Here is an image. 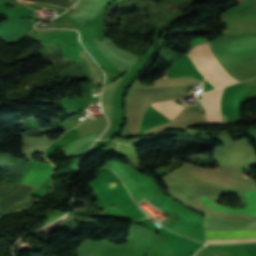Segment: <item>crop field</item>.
Returning <instances> with one entry per match:
<instances>
[{
	"label": "crop field",
	"instance_id": "obj_4",
	"mask_svg": "<svg viewBox=\"0 0 256 256\" xmlns=\"http://www.w3.org/2000/svg\"><path fill=\"white\" fill-rule=\"evenodd\" d=\"M241 230H256V222H251ZM205 240L244 239L256 237V231H204Z\"/></svg>",
	"mask_w": 256,
	"mask_h": 256
},
{
	"label": "crop field",
	"instance_id": "obj_5",
	"mask_svg": "<svg viewBox=\"0 0 256 256\" xmlns=\"http://www.w3.org/2000/svg\"><path fill=\"white\" fill-rule=\"evenodd\" d=\"M53 167V165L35 161L24 178L21 180V183L31 184L38 187L42 180L50 175Z\"/></svg>",
	"mask_w": 256,
	"mask_h": 256
},
{
	"label": "crop field",
	"instance_id": "obj_3",
	"mask_svg": "<svg viewBox=\"0 0 256 256\" xmlns=\"http://www.w3.org/2000/svg\"><path fill=\"white\" fill-rule=\"evenodd\" d=\"M35 20L21 21L10 19L6 27L1 31L0 38L4 40H20L24 37Z\"/></svg>",
	"mask_w": 256,
	"mask_h": 256
},
{
	"label": "crop field",
	"instance_id": "obj_8",
	"mask_svg": "<svg viewBox=\"0 0 256 256\" xmlns=\"http://www.w3.org/2000/svg\"><path fill=\"white\" fill-rule=\"evenodd\" d=\"M18 1H20V2H24V3H30V2H26V1H21V0H18Z\"/></svg>",
	"mask_w": 256,
	"mask_h": 256
},
{
	"label": "crop field",
	"instance_id": "obj_6",
	"mask_svg": "<svg viewBox=\"0 0 256 256\" xmlns=\"http://www.w3.org/2000/svg\"><path fill=\"white\" fill-rule=\"evenodd\" d=\"M241 86L242 84L237 83L223 88L220 98V109L223 122H230L235 120L230 107L231 97L233 92Z\"/></svg>",
	"mask_w": 256,
	"mask_h": 256
},
{
	"label": "crop field",
	"instance_id": "obj_2",
	"mask_svg": "<svg viewBox=\"0 0 256 256\" xmlns=\"http://www.w3.org/2000/svg\"><path fill=\"white\" fill-rule=\"evenodd\" d=\"M245 196L247 199V206L244 209L229 208L226 206L218 205L206 197H199V198L204 204H206L207 206L217 211L227 212V213H246V214L256 216V191L253 190V191L247 192L245 193Z\"/></svg>",
	"mask_w": 256,
	"mask_h": 256
},
{
	"label": "crop field",
	"instance_id": "obj_7",
	"mask_svg": "<svg viewBox=\"0 0 256 256\" xmlns=\"http://www.w3.org/2000/svg\"><path fill=\"white\" fill-rule=\"evenodd\" d=\"M63 46H64V50H65V57H66V59L80 60V58H79V56L77 54L78 50H77L76 42L66 43V44H63ZM63 46H62V48H63Z\"/></svg>",
	"mask_w": 256,
	"mask_h": 256
},
{
	"label": "crop field",
	"instance_id": "obj_1",
	"mask_svg": "<svg viewBox=\"0 0 256 256\" xmlns=\"http://www.w3.org/2000/svg\"><path fill=\"white\" fill-rule=\"evenodd\" d=\"M171 69L178 77H191L202 81L204 84V92L214 89V87L196 69L189 54Z\"/></svg>",
	"mask_w": 256,
	"mask_h": 256
}]
</instances>
